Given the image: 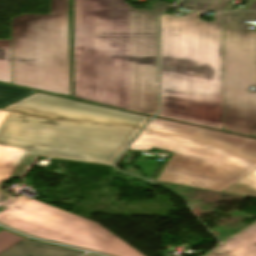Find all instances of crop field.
Wrapping results in <instances>:
<instances>
[{"label":"crop field","instance_id":"crop-field-1","mask_svg":"<svg viewBox=\"0 0 256 256\" xmlns=\"http://www.w3.org/2000/svg\"><path fill=\"white\" fill-rule=\"evenodd\" d=\"M124 0H74L75 97L152 114L157 110V15Z\"/></svg>","mask_w":256,"mask_h":256},{"label":"crop field","instance_id":"crop-field-2","mask_svg":"<svg viewBox=\"0 0 256 256\" xmlns=\"http://www.w3.org/2000/svg\"><path fill=\"white\" fill-rule=\"evenodd\" d=\"M149 117L31 95L0 110V186L38 155L113 164ZM0 189V202L10 198Z\"/></svg>","mask_w":256,"mask_h":256},{"label":"crop field","instance_id":"crop-field-3","mask_svg":"<svg viewBox=\"0 0 256 256\" xmlns=\"http://www.w3.org/2000/svg\"><path fill=\"white\" fill-rule=\"evenodd\" d=\"M160 17L161 110L158 116L223 130V12Z\"/></svg>","mask_w":256,"mask_h":256},{"label":"crop field","instance_id":"crop-field-4","mask_svg":"<svg viewBox=\"0 0 256 256\" xmlns=\"http://www.w3.org/2000/svg\"><path fill=\"white\" fill-rule=\"evenodd\" d=\"M130 149L174 153L160 181L219 192L256 169V140L156 118Z\"/></svg>","mask_w":256,"mask_h":256},{"label":"crop field","instance_id":"crop-field-5","mask_svg":"<svg viewBox=\"0 0 256 256\" xmlns=\"http://www.w3.org/2000/svg\"><path fill=\"white\" fill-rule=\"evenodd\" d=\"M69 0H50L51 15L12 19L13 84L71 97Z\"/></svg>","mask_w":256,"mask_h":256},{"label":"crop field","instance_id":"crop-field-6","mask_svg":"<svg viewBox=\"0 0 256 256\" xmlns=\"http://www.w3.org/2000/svg\"><path fill=\"white\" fill-rule=\"evenodd\" d=\"M0 223L29 235L111 256H144L103 226L29 197L4 204Z\"/></svg>","mask_w":256,"mask_h":256},{"label":"crop field","instance_id":"crop-field-7","mask_svg":"<svg viewBox=\"0 0 256 256\" xmlns=\"http://www.w3.org/2000/svg\"><path fill=\"white\" fill-rule=\"evenodd\" d=\"M245 20L256 12H224V130L253 136L256 133L255 38H249Z\"/></svg>","mask_w":256,"mask_h":256},{"label":"crop field","instance_id":"crop-field-8","mask_svg":"<svg viewBox=\"0 0 256 256\" xmlns=\"http://www.w3.org/2000/svg\"><path fill=\"white\" fill-rule=\"evenodd\" d=\"M256 224L233 237L207 256H256Z\"/></svg>","mask_w":256,"mask_h":256},{"label":"crop field","instance_id":"crop-field-9","mask_svg":"<svg viewBox=\"0 0 256 256\" xmlns=\"http://www.w3.org/2000/svg\"><path fill=\"white\" fill-rule=\"evenodd\" d=\"M83 253L25 240L0 256H79Z\"/></svg>","mask_w":256,"mask_h":256},{"label":"crop field","instance_id":"crop-field-10","mask_svg":"<svg viewBox=\"0 0 256 256\" xmlns=\"http://www.w3.org/2000/svg\"><path fill=\"white\" fill-rule=\"evenodd\" d=\"M0 81L12 84L10 40H0Z\"/></svg>","mask_w":256,"mask_h":256},{"label":"crop field","instance_id":"crop-field-11","mask_svg":"<svg viewBox=\"0 0 256 256\" xmlns=\"http://www.w3.org/2000/svg\"><path fill=\"white\" fill-rule=\"evenodd\" d=\"M225 193L256 197V170L224 191Z\"/></svg>","mask_w":256,"mask_h":256},{"label":"crop field","instance_id":"crop-field-12","mask_svg":"<svg viewBox=\"0 0 256 256\" xmlns=\"http://www.w3.org/2000/svg\"><path fill=\"white\" fill-rule=\"evenodd\" d=\"M232 0H182L178 5L194 10H224Z\"/></svg>","mask_w":256,"mask_h":256},{"label":"crop field","instance_id":"crop-field-13","mask_svg":"<svg viewBox=\"0 0 256 256\" xmlns=\"http://www.w3.org/2000/svg\"><path fill=\"white\" fill-rule=\"evenodd\" d=\"M32 92L33 91L0 84V105L6 106Z\"/></svg>","mask_w":256,"mask_h":256},{"label":"crop field","instance_id":"crop-field-14","mask_svg":"<svg viewBox=\"0 0 256 256\" xmlns=\"http://www.w3.org/2000/svg\"><path fill=\"white\" fill-rule=\"evenodd\" d=\"M24 239L14 236L6 231L0 232V253L23 241Z\"/></svg>","mask_w":256,"mask_h":256},{"label":"crop field","instance_id":"crop-field-15","mask_svg":"<svg viewBox=\"0 0 256 256\" xmlns=\"http://www.w3.org/2000/svg\"><path fill=\"white\" fill-rule=\"evenodd\" d=\"M248 2L244 5L241 10H246L254 0H247Z\"/></svg>","mask_w":256,"mask_h":256},{"label":"crop field","instance_id":"crop-field-16","mask_svg":"<svg viewBox=\"0 0 256 256\" xmlns=\"http://www.w3.org/2000/svg\"><path fill=\"white\" fill-rule=\"evenodd\" d=\"M247 10H256V0L251 4Z\"/></svg>","mask_w":256,"mask_h":256},{"label":"crop field","instance_id":"crop-field-17","mask_svg":"<svg viewBox=\"0 0 256 256\" xmlns=\"http://www.w3.org/2000/svg\"><path fill=\"white\" fill-rule=\"evenodd\" d=\"M250 37H256V33H250Z\"/></svg>","mask_w":256,"mask_h":256},{"label":"crop field","instance_id":"crop-field-18","mask_svg":"<svg viewBox=\"0 0 256 256\" xmlns=\"http://www.w3.org/2000/svg\"><path fill=\"white\" fill-rule=\"evenodd\" d=\"M254 136L256 137V134Z\"/></svg>","mask_w":256,"mask_h":256},{"label":"crop field","instance_id":"crop-field-19","mask_svg":"<svg viewBox=\"0 0 256 256\" xmlns=\"http://www.w3.org/2000/svg\"><path fill=\"white\" fill-rule=\"evenodd\" d=\"M0 107H3V106H0Z\"/></svg>","mask_w":256,"mask_h":256},{"label":"crop field","instance_id":"crop-field-20","mask_svg":"<svg viewBox=\"0 0 256 256\" xmlns=\"http://www.w3.org/2000/svg\"><path fill=\"white\" fill-rule=\"evenodd\" d=\"M89 256H92V255H89Z\"/></svg>","mask_w":256,"mask_h":256}]
</instances>
